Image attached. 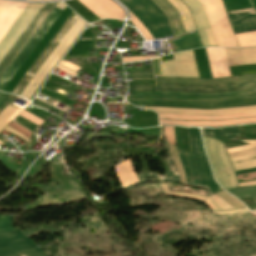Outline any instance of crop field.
I'll use <instances>...</instances> for the list:
<instances>
[{
	"mask_svg": "<svg viewBox=\"0 0 256 256\" xmlns=\"http://www.w3.org/2000/svg\"><path fill=\"white\" fill-rule=\"evenodd\" d=\"M57 68L63 69V70H65V71L69 72V73H72V74L76 75V76L78 75V74L73 73V72H70V71H68V70H66V69H64V68H62V67L57 66Z\"/></svg>",
	"mask_w": 256,
	"mask_h": 256,
	"instance_id": "crop-field-61",
	"label": "crop field"
},
{
	"mask_svg": "<svg viewBox=\"0 0 256 256\" xmlns=\"http://www.w3.org/2000/svg\"><path fill=\"white\" fill-rule=\"evenodd\" d=\"M155 78H156L157 82L183 83V84H201V85H215V84H225V83L256 81V76L224 78V79H214V80L163 78V77H155Z\"/></svg>",
	"mask_w": 256,
	"mask_h": 256,
	"instance_id": "crop-field-18",
	"label": "crop field"
},
{
	"mask_svg": "<svg viewBox=\"0 0 256 256\" xmlns=\"http://www.w3.org/2000/svg\"><path fill=\"white\" fill-rule=\"evenodd\" d=\"M27 3L0 0V39Z\"/></svg>",
	"mask_w": 256,
	"mask_h": 256,
	"instance_id": "crop-field-14",
	"label": "crop field"
},
{
	"mask_svg": "<svg viewBox=\"0 0 256 256\" xmlns=\"http://www.w3.org/2000/svg\"><path fill=\"white\" fill-rule=\"evenodd\" d=\"M0 144H4V143L0 142Z\"/></svg>",
	"mask_w": 256,
	"mask_h": 256,
	"instance_id": "crop-field-63",
	"label": "crop field"
},
{
	"mask_svg": "<svg viewBox=\"0 0 256 256\" xmlns=\"http://www.w3.org/2000/svg\"><path fill=\"white\" fill-rule=\"evenodd\" d=\"M14 95L9 94L6 99L0 104V112L1 110L14 98Z\"/></svg>",
	"mask_w": 256,
	"mask_h": 256,
	"instance_id": "crop-field-55",
	"label": "crop field"
},
{
	"mask_svg": "<svg viewBox=\"0 0 256 256\" xmlns=\"http://www.w3.org/2000/svg\"><path fill=\"white\" fill-rule=\"evenodd\" d=\"M199 1H200V2L204 5V7H205V10H206V13H207V16H208L210 25H211V27H212V30H213V33H214V36H215L217 45H218V46H225V45H224V42H223V39H222V36H221V34H220V31H219V28H218V25H217L215 16H214V14H213V11H212V8H211L210 3H209L207 0H199Z\"/></svg>",
	"mask_w": 256,
	"mask_h": 256,
	"instance_id": "crop-field-30",
	"label": "crop field"
},
{
	"mask_svg": "<svg viewBox=\"0 0 256 256\" xmlns=\"http://www.w3.org/2000/svg\"><path fill=\"white\" fill-rule=\"evenodd\" d=\"M152 57H155V56H151V57L122 58V61H123V63H126V62H133V61H141V60L150 59V58H152Z\"/></svg>",
	"mask_w": 256,
	"mask_h": 256,
	"instance_id": "crop-field-53",
	"label": "crop field"
},
{
	"mask_svg": "<svg viewBox=\"0 0 256 256\" xmlns=\"http://www.w3.org/2000/svg\"><path fill=\"white\" fill-rule=\"evenodd\" d=\"M164 129H165V139H167L170 144L175 145L173 127H164ZM170 144H169V148H170V151L172 153V156H173V159H174V162H175V165H176L181 183L187 185L184 172L182 170L179 158H178L177 153H176V148L174 146L170 145Z\"/></svg>",
	"mask_w": 256,
	"mask_h": 256,
	"instance_id": "crop-field-25",
	"label": "crop field"
},
{
	"mask_svg": "<svg viewBox=\"0 0 256 256\" xmlns=\"http://www.w3.org/2000/svg\"><path fill=\"white\" fill-rule=\"evenodd\" d=\"M19 124L23 125L24 127H26L27 129H29L30 131H34L35 129V125H33L32 123L28 122L27 120L21 118V117H17L16 120Z\"/></svg>",
	"mask_w": 256,
	"mask_h": 256,
	"instance_id": "crop-field-48",
	"label": "crop field"
},
{
	"mask_svg": "<svg viewBox=\"0 0 256 256\" xmlns=\"http://www.w3.org/2000/svg\"><path fill=\"white\" fill-rule=\"evenodd\" d=\"M193 158H194L197 168H198L201 187L205 188V189H209L210 195L219 191L221 188L215 182V180L211 174L208 163L199 159L196 156H193Z\"/></svg>",
	"mask_w": 256,
	"mask_h": 256,
	"instance_id": "crop-field-20",
	"label": "crop field"
},
{
	"mask_svg": "<svg viewBox=\"0 0 256 256\" xmlns=\"http://www.w3.org/2000/svg\"><path fill=\"white\" fill-rule=\"evenodd\" d=\"M203 140H204V148H205V151L207 153V156L209 158V161L212 165V168H213V171H214V176H215V179L217 180V182L222 186L224 187L225 186V189H228V188H232V187H236L237 184H236V180H235V176L233 174V171L231 169V166L229 164V161L227 159V156L225 154V151H224V148H223V143L220 142V141H216L214 139H210L209 138V146H210V149H211V152L215 158V160L217 161L218 163V167H219V170H220V173L222 175V178H223V182H224V186H223V182H222V179H221V176H220V173L218 171V167H217V164L210 152V149H209V146H208V138H205L203 137ZM215 141H216V144H217V150H218V154L219 156L221 157L225 167H226V170L229 174V179H230V182H231V185L229 183V179H228V176L225 172V169L223 167V164L217 154V151H216V144H215Z\"/></svg>",
	"mask_w": 256,
	"mask_h": 256,
	"instance_id": "crop-field-5",
	"label": "crop field"
},
{
	"mask_svg": "<svg viewBox=\"0 0 256 256\" xmlns=\"http://www.w3.org/2000/svg\"><path fill=\"white\" fill-rule=\"evenodd\" d=\"M160 122H161V124H173V125L217 126V125H228V124L256 122V118L223 120V121H171V120H160Z\"/></svg>",
	"mask_w": 256,
	"mask_h": 256,
	"instance_id": "crop-field-24",
	"label": "crop field"
},
{
	"mask_svg": "<svg viewBox=\"0 0 256 256\" xmlns=\"http://www.w3.org/2000/svg\"><path fill=\"white\" fill-rule=\"evenodd\" d=\"M244 142H247L249 144L239 146V147H236V148L226 149L227 153L229 154V153H233V152H237V151H241V150L256 147V141H244Z\"/></svg>",
	"mask_w": 256,
	"mask_h": 256,
	"instance_id": "crop-field-42",
	"label": "crop field"
},
{
	"mask_svg": "<svg viewBox=\"0 0 256 256\" xmlns=\"http://www.w3.org/2000/svg\"><path fill=\"white\" fill-rule=\"evenodd\" d=\"M254 212H256V210Z\"/></svg>",
	"mask_w": 256,
	"mask_h": 256,
	"instance_id": "crop-field-64",
	"label": "crop field"
},
{
	"mask_svg": "<svg viewBox=\"0 0 256 256\" xmlns=\"http://www.w3.org/2000/svg\"><path fill=\"white\" fill-rule=\"evenodd\" d=\"M202 135L210 136L218 139H232L238 135L237 127L221 128V129H205L201 128Z\"/></svg>",
	"mask_w": 256,
	"mask_h": 256,
	"instance_id": "crop-field-28",
	"label": "crop field"
},
{
	"mask_svg": "<svg viewBox=\"0 0 256 256\" xmlns=\"http://www.w3.org/2000/svg\"><path fill=\"white\" fill-rule=\"evenodd\" d=\"M129 91H155V85L129 86Z\"/></svg>",
	"mask_w": 256,
	"mask_h": 256,
	"instance_id": "crop-field-45",
	"label": "crop field"
},
{
	"mask_svg": "<svg viewBox=\"0 0 256 256\" xmlns=\"http://www.w3.org/2000/svg\"><path fill=\"white\" fill-rule=\"evenodd\" d=\"M144 108H146V109L166 110V111H184V112L216 113V112H227V111H238V110L256 109V106H253V107H243V108H233V109H223V110H193V109L152 108V107H144Z\"/></svg>",
	"mask_w": 256,
	"mask_h": 256,
	"instance_id": "crop-field-33",
	"label": "crop field"
},
{
	"mask_svg": "<svg viewBox=\"0 0 256 256\" xmlns=\"http://www.w3.org/2000/svg\"><path fill=\"white\" fill-rule=\"evenodd\" d=\"M210 198L222 209H233L231 205L227 204L225 201H223L220 197H218L216 194L210 196Z\"/></svg>",
	"mask_w": 256,
	"mask_h": 256,
	"instance_id": "crop-field-41",
	"label": "crop field"
},
{
	"mask_svg": "<svg viewBox=\"0 0 256 256\" xmlns=\"http://www.w3.org/2000/svg\"><path fill=\"white\" fill-rule=\"evenodd\" d=\"M13 216L0 215V230H13L10 220Z\"/></svg>",
	"mask_w": 256,
	"mask_h": 256,
	"instance_id": "crop-field-40",
	"label": "crop field"
},
{
	"mask_svg": "<svg viewBox=\"0 0 256 256\" xmlns=\"http://www.w3.org/2000/svg\"><path fill=\"white\" fill-rule=\"evenodd\" d=\"M172 43L176 45L177 51L202 47L197 33L181 37Z\"/></svg>",
	"mask_w": 256,
	"mask_h": 256,
	"instance_id": "crop-field-29",
	"label": "crop field"
},
{
	"mask_svg": "<svg viewBox=\"0 0 256 256\" xmlns=\"http://www.w3.org/2000/svg\"><path fill=\"white\" fill-rule=\"evenodd\" d=\"M8 94L7 93H0V103H1V101L7 96ZM6 99V98H5ZM4 99V100H5ZM3 100V101H4Z\"/></svg>",
	"mask_w": 256,
	"mask_h": 256,
	"instance_id": "crop-field-60",
	"label": "crop field"
},
{
	"mask_svg": "<svg viewBox=\"0 0 256 256\" xmlns=\"http://www.w3.org/2000/svg\"><path fill=\"white\" fill-rule=\"evenodd\" d=\"M188 135H189V138H190L191 152L193 154L197 155V152H196V149H195V142H194V140L196 139V147H197V150H198L199 157L202 158V159L207 160L206 156L203 152L199 129L198 128H188Z\"/></svg>",
	"mask_w": 256,
	"mask_h": 256,
	"instance_id": "crop-field-32",
	"label": "crop field"
},
{
	"mask_svg": "<svg viewBox=\"0 0 256 256\" xmlns=\"http://www.w3.org/2000/svg\"><path fill=\"white\" fill-rule=\"evenodd\" d=\"M243 211H248V210H247V208H245V209H240V210H231V211H224V212H213V214L231 213V212H243Z\"/></svg>",
	"mask_w": 256,
	"mask_h": 256,
	"instance_id": "crop-field-58",
	"label": "crop field"
},
{
	"mask_svg": "<svg viewBox=\"0 0 256 256\" xmlns=\"http://www.w3.org/2000/svg\"><path fill=\"white\" fill-rule=\"evenodd\" d=\"M155 75L178 77L174 60L161 63L160 58L152 60Z\"/></svg>",
	"mask_w": 256,
	"mask_h": 256,
	"instance_id": "crop-field-26",
	"label": "crop field"
},
{
	"mask_svg": "<svg viewBox=\"0 0 256 256\" xmlns=\"http://www.w3.org/2000/svg\"><path fill=\"white\" fill-rule=\"evenodd\" d=\"M114 169L122 187L133 185L139 182L131 160H128L114 167Z\"/></svg>",
	"mask_w": 256,
	"mask_h": 256,
	"instance_id": "crop-field-23",
	"label": "crop field"
},
{
	"mask_svg": "<svg viewBox=\"0 0 256 256\" xmlns=\"http://www.w3.org/2000/svg\"><path fill=\"white\" fill-rule=\"evenodd\" d=\"M133 83H129V85H136V84H155L154 79H147V80H132Z\"/></svg>",
	"mask_w": 256,
	"mask_h": 256,
	"instance_id": "crop-field-54",
	"label": "crop field"
},
{
	"mask_svg": "<svg viewBox=\"0 0 256 256\" xmlns=\"http://www.w3.org/2000/svg\"><path fill=\"white\" fill-rule=\"evenodd\" d=\"M168 1H169V2L172 4V6L179 12V14H180V16H181V19H182V21H183V24H184V26H185L186 31L189 32V31H191V30H192V31L195 30L196 28H195V25H194V22H193V19H192V17H191V14H190L189 9H188L180 0H175L176 3L184 10V12H185V14H186V17H187V20H188V22H189V25H190L191 30H190V28H189V25H188V22H187V20H186V17H185V14H184L183 10L175 3L174 0H168Z\"/></svg>",
	"mask_w": 256,
	"mask_h": 256,
	"instance_id": "crop-field-31",
	"label": "crop field"
},
{
	"mask_svg": "<svg viewBox=\"0 0 256 256\" xmlns=\"http://www.w3.org/2000/svg\"><path fill=\"white\" fill-rule=\"evenodd\" d=\"M155 98V92L135 93L132 92L131 99Z\"/></svg>",
	"mask_w": 256,
	"mask_h": 256,
	"instance_id": "crop-field-46",
	"label": "crop field"
},
{
	"mask_svg": "<svg viewBox=\"0 0 256 256\" xmlns=\"http://www.w3.org/2000/svg\"><path fill=\"white\" fill-rule=\"evenodd\" d=\"M227 13L235 33L256 30V15L252 8Z\"/></svg>",
	"mask_w": 256,
	"mask_h": 256,
	"instance_id": "crop-field-15",
	"label": "crop field"
},
{
	"mask_svg": "<svg viewBox=\"0 0 256 256\" xmlns=\"http://www.w3.org/2000/svg\"><path fill=\"white\" fill-rule=\"evenodd\" d=\"M159 8L167 15L174 35L185 33L184 26L178 12L170 5L167 0H153Z\"/></svg>",
	"mask_w": 256,
	"mask_h": 256,
	"instance_id": "crop-field-21",
	"label": "crop field"
},
{
	"mask_svg": "<svg viewBox=\"0 0 256 256\" xmlns=\"http://www.w3.org/2000/svg\"><path fill=\"white\" fill-rule=\"evenodd\" d=\"M254 171H256V168L236 171L235 174L238 175V174H244V173H249V172H254Z\"/></svg>",
	"mask_w": 256,
	"mask_h": 256,
	"instance_id": "crop-field-57",
	"label": "crop field"
},
{
	"mask_svg": "<svg viewBox=\"0 0 256 256\" xmlns=\"http://www.w3.org/2000/svg\"><path fill=\"white\" fill-rule=\"evenodd\" d=\"M39 248L19 230L0 232V256L39 252Z\"/></svg>",
	"mask_w": 256,
	"mask_h": 256,
	"instance_id": "crop-field-7",
	"label": "crop field"
},
{
	"mask_svg": "<svg viewBox=\"0 0 256 256\" xmlns=\"http://www.w3.org/2000/svg\"><path fill=\"white\" fill-rule=\"evenodd\" d=\"M131 17H132L131 22L139 30V32L142 34L145 40L153 39L151 35L148 33V31L145 29V27L132 14H131Z\"/></svg>",
	"mask_w": 256,
	"mask_h": 256,
	"instance_id": "crop-field-39",
	"label": "crop field"
},
{
	"mask_svg": "<svg viewBox=\"0 0 256 256\" xmlns=\"http://www.w3.org/2000/svg\"><path fill=\"white\" fill-rule=\"evenodd\" d=\"M169 185H170L169 183L160 184V188L163 190V192L166 196L174 195V196L196 199V200L205 202L212 210H221L207 196L194 195V194H189V193H184V192H171L168 189Z\"/></svg>",
	"mask_w": 256,
	"mask_h": 256,
	"instance_id": "crop-field-27",
	"label": "crop field"
},
{
	"mask_svg": "<svg viewBox=\"0 0 256 256\" xmlns=\"http://www.w3.org/2000/svg\"><path fill=\"white\" fill-rule=\"evenodd\" d=\"M8 126L20 131L22 134L26 135L29 139L31 138V132L29 130L17 125L13 121Z\"/></svg>",
	"mask_w": 256,
	"mask_h": 256,
	"instance_id": "crop-field-47",
	"label": "crop field"
},
{
	"mask_svg": "<svg viewBox=\"0 0 256 256\" xmlns=\"http://www.w3.org/2000/svg\"><path fill=\"white\" fill-rule=\"evenodd\" d=\"M153 38L173 36L165 15L150 0H120Z\"/></svg>",
	"mask_w": 256,
	"mask_h": 256,
	"instance_id": "crop-field-1",
	"label": "crop field"
},
{
	"mask_svg": "<svg viewBox=\"0 0 256 256\" xmlns=\"http://www.w3.org/2000/svg\"><path fill=\"white\" fill-rule=\"evenodd\" d=\"M213 78L231 76L224 48H206Z\"/></svg>",
	"mask_w": 256,
	"mask_h": 256,
	"instance_id": "crop-field-16",
	"label": "crop field"
},
{
	"mask_svg": "<svg viewBox=\"0 0 256 256\" xmlns=\"http://www.w3.org/2000/svg\"><path fill=\"white\" fill-rule=\"evenodd\" d=\"M192 10V13L194 15V18H195V21H196V24H197V27L199 29V32H200V35H201V38H202V41L204 43V46L205 47H208V46H217L216 45V42L214 40V37H213V34H212V31L210 29V26H209V23L207 21V18H206V15H205V12L203 10V7L202 5L197 1V0H183ZM187 6V7H188ZM188 7V8H189ZM189 8V9H190ZM190 10V11H191ZM191 13V14H192ZM192 15V16H193ZM193 18V19H194ZM194 21V22H195ZM197 29V30H198ZM198 32V33H199Z\"/></svg>",
	"mask_w": 256,
	"mask_h": 256,
	"instance_id": "crop-field-12",
	"label": "crop field"
},
{
	"mask_svg": "<svg viewBox=\"0 0 256 256\" xmlns=\"http://www.w3.org/2000/svg\"><path fill=\"white\" fill-rule=\"evenodd\" d=\"M60 65L66 67V68H68V69H70V70H72L74 72H77L79 69H81L78 66H76V65H74L72 63L66 62V61H61Z\"/></svg>",
	"mask_w": 256,
	"mask_h": 256,
	"instance_id": "crop-field-50",
	"label": "crop field"
},
{
	"mask_svg": "<svg viewBox=\"0 0 256 256\" xmlns=\"http://www.w3.org/2000/svg\"><path fill=\"white\" fill-rule=\"evenodd\" d=\"M216 194L219 195L227 203L231 204L232 206H234L236 208H245V206L241 202H239L237 199H235L233 196L227 194L223 190H221L220 192H218Z\"/></svg>",
	"mask_w": 256,
	"mask_h": 256,
	"instance_id": "crop-field-38",
	"label": "crop field"
},
{
	"mask_svg": "<svg viewBox=\"0 0 256 256\" xmlns=\"http://www.w3.org/2000/svg\"><path fill=\"white\" fill-rule=\"evenodd\" d=\"M228 191L237 198L252 196L256 202V186L235 188Z\"/></svg>",
	"mask_w": 256,
	"mask_h": 256,
	"instance_id": "crop-field-37",
	"label": "crop field"
},
{
	"mask_svg": "<svg viewBox=\"0 0 256 256\" xmlns=\"http://www.w3.org/2000/svg\"><path fill=\"white\" fill-rule=\"evenodd\" d=\"M43 4L28 3L7 33L0 41V60L36 15ZM1 62V61H0Z\"/></svg>",
	"mask_w": 256,
	"mask_h": 256,
	"instance_id": "crop-field-8",
	"label": "crop field"
},
{
	"mask_svg": "<svg viewBox=\"0 0 256 256\" xmlns=\"http://www.w3.org/2000/svg\"><path fill=\"white\" fill-rule=\"evenodd\" d=\"M100 19H124L123 11L109 0H78Z\"/></svg>",
	"mask_w": 256,
	"mask_h": 256,
	"instance_id": "crop-field-13",
	"label": "crop field"
},
{
	"mask_svg": "<svg viewBox=\"0 0 256 256\" xmlns=\"http://www.w3.org/2000/svg\"><path fill=\"white\" fill-rule=\"evenodd\" d=\"M250 111H256V110L238 111V112H250ZM238 112H227V113H238ZM158 113H171V114H197V115H216V114H227V113L202 114V113L166 112V111H158Z\"/></svg>",
	"mask_w": 256,
	"mask_h": 256,
	"instance_id": "crop-field-49",
	"label": "crop field"
},
{
	"mask_svg": "<svg viewBox=\"0 0 256 256\" xmlns=\"http://www.w3.org/2000/svg\"><path fill=\"white\" fill-rule=\"evenodd\" d=\"M34 105H36V106H40V107H43V108H45V109H48V110H50V111H53V112H57V109H55V108H53V107H51V106H48V105H46V104H44V103H42V102H40V101H38V100H36V99H34V101L32 102Z\"/></svg>",
	"mask_w": 256,
	"mask_h": 256,
	"instance_id": "crop-field-51",
	"label": "crop field"
},
{
	"mask_svg": "<svg viewBox=\"0 0 256 256\" xmlns=\"http://www.w3.org/2000/svg\"><path fill=\"white\" fill-rule=\"evenodd\" d=\"M86 22H84L81 18H77L62 40L58 43L40 69L36 72L24 90L21 92V96L29 98L50 72L52 67L57 63V61L63 56L68 47L72 44V42L77 38V36L81 33L83 28L86 26ZM31 99V98H30Z\"/></svg>",
	"mask_w": 256,
	"mask_h": 256,
	"instance_id": "crop-field-2",
	"label": "crop field"
},
{
	"mask_svg": "<svg viewBox=\"0 0 256 256\" xmlns=\"http://www.w3.org/2000/svg\"><path fill=\"white\" fill-rule=\"evenodd\" d=\"M4 131H8V132H10V133H12V134H15V135H17V136L23 138V139H24L25 141H27L28 143L30 142L26 137L22 136L19 132H17V131H15V130L11 129V128L8 127V126L4 129Z\"/></svg>",
	"mask_w": 256,
	"mask_h": 256,
	"instance_id": "crop-field-56",
	"label": "crop field"
},
{
	"mask_svg": "<svg viewBox=\"0 0 256 256\" xmlns=\"http://www.w3.org/2000/svg\"><path fill=\"white\" fill-rule=\"evenodd\" d=\"M57 7L64 10L66 6L63 3L59 2ZM61 12L62 10L56 7L54 8V10L51 12V14L48 16V18L45 20V22L42 24L36 34L32 37V39L29 41V43L26 45V47L23 49L17 59L13 62V64L1 78L0 91L4 90L10 80L13 78V76L16 74V72L19 70V68L22 66V64L25 62V60L28 58V56L31 54V52L34 50V48L37 46L43 36L46 34V32L49 30V28L52 26L58 16L61 14Z\"/></svg>",
	"mask_w": 256,
	"mask_h": 256,
	"instance_id": "crop-field-4",
	"label": "crop field"
},
{
	"mask_svg": "<svg viewBox=\"0 0 256 256\" xmlns=\"http://www.w3.org/2000/svg\"><path fill=\"white\" fill-rule=\"evenodd\" d=\"M158 115H159V118L177 119V120H222V119L252 117V116H256V112L216 115V116L171 115V114H158Z\"/></svg>",
	"mask_w": 256,
	"mask_h": 256,
	"instance_id": "crop-field-22",
	"label": "crop field"
},
{
	"mask_svg": "<svg viewBox=\"0 0 256 256\" xmlns=\"http://www.w3.org/2000/svg\"><path fill=\"white\" fill-rule=\"evenodd\" d=\"M247 89H256V82L215 85V86L157 83V90H165V91L215 93V92L237 91V90H247Z\"/></svg>",
	"mask_w": 256,
	"mask_h": 256,
	"instance_id": "crop-field-9",
	"label": "crop field"
},
{
	"mask_svg": "<svg viewBox=\"0 0 256 256\" xmlns=\"http://www.w3.org/2000/svg\"><path fill=\"white\" fill-rule=\"evenodd\" d=\"M20 116L26 118L27 120H29L30 122H32L38 126H40L44 121V120L41 121L42 119L41 120L38 119L37 117H35L34 115L30 114L29 112H27L25 110L20 114Z\"/></svg>",
	"mask_w": 256,
	"mask_h": 256,
	"instance_id": "crop-field-43",
	"label": "crop field"
},
{
	"mask_svg": "<svg viewBox=\"0 0 256 256\" xmlns=\"http://www.w3.org/2000/svg\"><path fill=\"white\" fill-rule=\"evenodd\" d=\"M173 56L179 77L199 78L192 50Z\"/></svg>",
	"mask_w": 256,
	"mask_h": 256,
	"instance_id": "crop-field-17",
	"label": "crop field"
},
{
	"mask_svg": "<svg viewBox=\"0 0 256 256\" xmlns=\"http://www.w3.org/2000/svg\"><path fill=\"white\" fill-rule=\"evenodd\" d=\"M248 96H256V90L215 93V94L157 91V98H170V99L215 100V99H226V98H237V97H248Z\"/></svg>",
	"mask_w": 256,
	"mask_h": 256,
	"instance_id": "crop-field-11",
	"label": "crop field"
},
{
	"mask_svg": "<svg viewBox=\"0 0 256 256\" xmlns=\"http://www.w3.org/2000/svg\"><path fill=\"white\" fill-rule=\"evenodd\" d=\"M19 112V110L7 106L1 113H0V133L4 129V127L13 119V117Z\"/></svg>",
	"mask_w": 256,
	"mask_h": 256,
	"instance_id": "crop-field-35",
	"label": "crop field"
},
{
	"mask_svg": "<svg viewBox=\"0 0 256 256\" xmlns=\"http://www.w3.org/2000/svg\"><path fill=\"white\" fill-rule=\"evenodd\" d=\"M254 157H256V154L243 156V157L232 158L230 160H231V162H235V161L250 159V158H254ZM232 165H233L235 170L252 168V167H256V159L243 161V162L232 163Z\"/></svg>",
	"mask_w": 256,
	"mask_h": 256,
	"instance_id": "crop-field-34",
	"label": "crop field"
},
{
	"mask_svg": "<svg viewBox=\"0 0 256 256\" xmlns=\"http://www.w3.org/2000/svg\"><path fill=\"white\" fill-rule=\"evenodd\" d=\"M254 152H256V148L241 151V152H237V153H233V154H229L228 156H229V158H232V157L241 156V155H245V154H250V153H254Z\"/></svg>",
	"mask_w": 256,
	"mask_h": 256,
	"instance_id": "crop-field-52",
	"label": "crop field"
},
{
	"mask_svg": "<svg viewBox=\"0 0 256 256\" xmlns=\"http://www.w3.org/2000/svg\"><path fill=\"white\" fill-rule=\"evenodd\" d=\"M229 66L256 63V48H225Z\"/></svg>",
	"mask_w": 256,
	"mask_h": 256,
	"instance_id": "crop-field-19",
	"label": "crop field"
},
{
	"mask_svg": "<svg viewBox=\"0 0 256 256\" xmlns=\"http://www.w3.org/2000/svg\"><path fill=\"white\" fill-rule=\"evenodd\" d=\"M127 101L134 105H141V106H163V107L195 108V109H216V108L256 105V98L215 101V102L167 100V99H146V100H127Z\"/></svg>",
	"mask_w": 256,
	"mask_h": 256,
	"instance_id": "crop-field-3",
	"label": "crop field"
},
{
	"mask_svg": "<svg viewBox=\"0 0 256 256\" xmlns=\"http://www.w3.org/2000/svg\"><path fill=\"white\" fill-rule=\"evenodd\" d=\"M240 47L256 46V32L235 35Z\"/></svg>",
	"mask_w": 256,
	"mask_h": 256,
	"instance_id": "crop-field-36",
	"label": "crop field"
},
{
	"mask_svg": "<svg viewBox=\"0 0 256 256\" xmlns=\"http://www.w3.org/2000/svg\"><path fill=\"white\" fill-rule=\"evenodd\" d=\"M55 4L56 3L44 4L40 11L37 13V15L27 26V28L17 39V41L14 43V45L10 48V50L0 62V76L3 74L9 64L12 62V60L16 57L22 47L26 44L32 34L36 31V29L39 27L45 17L49 14Z\"/></svg>",
	"mask_w": 256,
	"mask_h": 256,
	"instance_id": "crop-field-6",
	"label": "crop field"
},
{
	"mask_svg": "<svg viewBox=\"0 0 256 256\" xmlns=\"http://www.w3.org/2000/svg\"><path fill=\"white\" fill-rule=\"evenodd\" d=\"M161 136L164 137L163 127H161Z\"/></svg>",
	"mask_w": 256,
	"mask_h": 256,
	"instance_id": "crop-field-62",
	"label": "crop field"
},
{
	"mask_svg": "<svg viewBox=\"0 0 256 256\" xmlns=\"http://www.w3.org/2000/svg\"><path fill=\"white\" fill-rule=\"evenodd\" d=\"M178 155H179L180 161L182 163V166H183V169H184V172H185V175H186V179H187V182H188L187 176H190L191 174H190V171H189V167H188V163H187V160H186L185 153L184 152H178Z\"/></svg>",
	"mask_w": 256,
	"mask_h": 256,
	"instance_id": "crop-field-44",
	"label": "crop field"
},
{
	"mask_svg": "<svg viewBox=\"0 0 256 256\" xmlns=\"http://www.w3.org/2000/svg\"><path fill=\"white\" fill-rule=\"evenodd\" d=\"M75 14L73 12L71 13V15L62 25V27L59 29V31L56 33V35L53 37V39L50 41L44 51L40 54V56L37 58V60L34 62V64L31 66V68L28 70V72L25 74V76L22 78V80L19 82V84L16 86L12 93L17 95L20 94V92L23 90V88L26 86V84L29 82L35 72L39 69V67L42 65V63L45 61V59L48 57V55L51 53L57 43L61 40V38L70 28V26L76 20L78 16Z\"/></svg>",
	"mask_w": 256,
	"mask_h": 256,
	"instance_id": "crop-field-10",
	"label": "crop field"
},
{
	"mask_svg": "<svg viewBox=\"0 0 256 256\" xmlns=\"http://www.w3.org/2000/svg\"><path fill=\"white\" fill-rule=\"evenodd\" d=\"M256 185V180L251 182L239 183L238 186Z\"/></svg>",
	"mask_w": 256,
	"mask_h": 256,
	"instance_id": "crop-field-59",
	"label": "crop field"
}]
</instances>
